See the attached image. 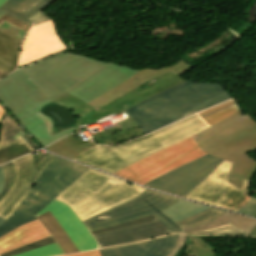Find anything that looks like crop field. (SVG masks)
Returning <instances> with one entry per match:
<instances>
[{"label": "crop field", "instance_id": "crop-field-39", "mask_svg": "<svg viewBox=\"0 0 256 256\" xmlns=\"http://www.w3.org/2000/svg\"><path fill=\"white\" fill-rule=\"evenodd\" d=\"M201 234H227V235H238L241 236V231L238 228L223 229L214 232L201 233Z\"/></svg>", "mask_w": 256, "mask_h": 256}, {"label": "crop field", "instance_id": "crop-field-56", "mask_svg": "<svg viewBox=\"0 0 256 256\" xmlns=\"http://www.w3.org/2000/svg\"><path fill=\"white\" fill-rule=\"evenodd\" d=\"M4 221H5V220H3V219L0 218V224H1L2 222H4Z\"/></svg>", "mask_w": 256, "mask_h": 256}, {"label": "crop field", "instance_id": "crop-field-46", "mask_svg": "<svg viewBox=\"0 0 256 256\" xmlns=\"http://www.w3.org/2000/svg\"><path fill=\"white\" fill-rule=\"evenodd\" d=\"M186 236H187V235H186ZM191 248H192V244H191L190 240H189L188 237H187L186 248L184 249V251H183L182 253L185 255L188 251L191 250Z\"/></svg>", "mask_w": 256, "mask_h": 256}, {"label": "crop field", "instance_id": "crop-field-9", "mask_svg": "<svg viewBox=\"0 0 256 256\" xmlns=\"http://www.w3.org/2000/svg\"><path fill=\"white\" fill-rule=\"evenodd\" d=\"M206 153L200 151L191 137L161 150L114 175L135 181L141 185L193 160Z\"/></svg>", "mask_w": 256, "mask_h": 256}, {"label": "crop field", "instance_id": "crop-field-25", "mask_svg": "<svg viewBox=\"0 0 256 256\" xmlns=\"http://www.w3.org/2000/svg\"><path fill=\"white\" fill-rule=\"evenodd\" d=\"M38 218L41 220V222L44 224V226L47 228V230L65 252V254L77 252L76 248L74 247L67 234L60 227V225L57 223V221L54 219L50 212L45 213Z\"/></svg>", "mask_w": 256, "mask_h": 256}, {"label": "crop field", "instance_id": "crop-field-51", "mask_svg": "<svg viewBox=\"0 0 256 256\" xmlns=\"http://www.w3.org/2000/svg\"><path fill=\"white\" fill-rule=\"evenodd\" d=\"M232 101H234V99H232V100H230V101H228V102H232ZM228 102H226V103H228ZM223 104H225V103H223ZM223 104L214 106V107H212V108H210V109H208V110H211V109H213V108H215V107H218V106H222ZM208 110H206V111H208ZM201 112H202V111H201ZM204 112H205V111H204ZM199 114H200V113H199Z\"/></svg>", "mask_w": 256, "mask_h": 256}, {"label": "crop field", "instance_id": "crop-field-27", "mask_svg": "<svg viewBox=\"0 0 256 256\" xmlns=\"http://www.w3.org/2000/svg\"><path fill=\"white\" fill-rule=\"evenodd\" d=\"M21 42L0 32V58L17 65Z\"/></svg>", "mask_w": 256, "mask_h": 256}, {"label": "crop field", "instance_id": "crop-field-17", "mask_svg": "<svg viewBox=\"0 0 256 256\" xmlns=\"http://www.w3.org/2000/svg\"><path fill=\"white\" fill-rule=\"evenodd\" d=\"M55 0H8L0 9L8 11L0 18L24 31H28L31 21L28 19L43 10Z\"/></svg>", "mask_w": 256, "mask_h": 256}, {"label": "crop field", "instance_id": "crop-field-19", "mask_svg": "<svg viewBox=\"0 0 256 256\" xmlns=\"http://www.w3.org/2000/svg\"><path fill=\"white\" fill-rule=\"evenodd\" d=\"M16 229V228H15ZM50 236L39 219L29 222L0 238V254Z\"/></svg>", "mask_w": 256, "mask_h": 256}, {"label": "crop field", "instance_id": "crop-field-31", "mask_svg": "<svg viewBox=\"0 0 256 256\" xmlns=\"http://www.w3.org/2000/svg\"><path fill=\"white\" fill-rule=\"evenodd\" d=\"M193 244L190 252L194 256H215L213 249L207 245L199 236H188Z\"/></svg>", "mask_w": 256, "mask_h": 256}, {"label": "crop field", "instance_id": "crop-field-54", "mask_svg": "<svg viewBox=\"0 0 256 256\" xmlns=\"http://www.w3.org/2000/svg\"><path fill=\"white\" fill-rule=\"evenodd\" d=\"M4 13H6V12H5V11L0 10V17H1Z\"/></svg>", "mask_w": 256, "mask_h": 256}, {"label": "crop field", "instance_id": "crop-field-36", "mask_svg": "<svg viewBox=\"0 0 256 256\" xmlns=\"http://www.w3.org/2000/svg\"><path fill=\"white\" fill-rule=\"evenodd\" d=\"M0 31L22 41L24 36L26 35V32L8 24L3 22L2 24H0Z\"/></svg>", "mask_w": 256, "mask_h": 256}, {"label": "crop field", "instance_id": "crop-field-32", "mask_svg": "<svg viewBox=\"0 0 256 256\" xmlns=\"http://www.w3.org/2000/svg\"><path fill=\"white\" fill-rule=\"evenodd\" d=\"M63 251L57 245V243L48 245L42 248H38L29 252H25L15 256H58L63 255Z\"/></svg>", "mask_w": 256, "mask_h": 256}, {"label": "crop field", "instance_id": "crop-field-42", "mask_svg": "<svg viewBox=\"0 0 256 256\" xmlns=\"http://www.w3.org/2000/svg\"><path fill=\"white\" fill-rule=\"evenodd\" d=\"M186 236L185 235H179V240L178 243L175 247V249L172 251V253L169 256H174L175 253L181 249V247L183 246L184 242H185Z\"/></svg>", "mask_w": 256, "mask_h": 256}, {"label": "crop field", "instance_id": "crop-field-23", "mask_svg": "<svg viewBox=\"0 0 256 256\" xmlns=\"http://www.w3.org/2000/svg\"><path fill=\"white\" fill-rule=\"evenodd\" d=\"M228 222L232 223L236 227H239L242 231V236H247L256 225V220L226 212L222 217L216 220L207 222L203 225L184 228L181 230L183 232L201 230V229L210 228V227L221 225Z\"/></svg>", "mask_w": 256, "mask_h": 256}, {"label": "crop field", "instance_id": "crop-field-30", "mask_svg": "<svg viewBox=\"0 0 256 256\" xmlns=\"http://www.w3.org/2000/svg\"><path fill=\"white\" fill-rule=\"evenodd\" d=\"M203 205L187 201V200H179L172 206L166 208L165 210L161 211L163 212L166 216H168L170 219L177 217L179 215H182L190 210H193L195 208L201 207Z\"/></svg>", "mask_w": 256, "mask_h": 256}, {"label": "crop field", "instance_id": "crop-field-15", "mask_svg": "<svg viewBox=\"0 0 256 256\" xmlns=\"http://www.w3.org/2000/svg\"><path fill=\"white\" fill-rule=\"evenodd\" d=\"M47 211L52 213L61 227L65 230L78 252L98 248L91 234L69 206L54 200L35 215L38 217Z\"/></svg>", "mask_w": 256, "mask_h": 256}, {"label": "crop field", "instance_id": "crop-field-3", "mask_svg": "<svg viewBox=\"0 0 256 256\" xmlns=\"http://www.w3.org/2000/svg\"><path fill=\"white\" fill-rule=\"evenodd\" d=\"M242 111L191 136L200 150L233 163L227 182L240 188L256 174V160L245 152L256 150V121Z\"/></svg>", "mask_w": 256, "mask_h": 256}, {"label": "crop field", "instance_id": "crop-field-40", "mask_svg": "<svg viewBox=\"0 0 256 256\" xmlns=\"http://www.w3.org/2000/svg\"><path fill=\"white\" fill-rule=\"evenodd\" d=\"M39 13V12H38ZM31 21L34 22L33 26L39 25L41 23L47 22L52 20L51 18L47 17L46 15H44L43 13H39L36 16L32 17L31 19H29ZM32 26V27H33Z\"/></svg>", "mask_w": 256, "mask_h": 256}, {"label": "crop field", "instance_id": "crop-field-53", "mask_svg": "<svg viewBox=\"0 0 256 256\" xmlns=\"http://www.w3.org/2000/svg\"><path fill=\"white\" fill-rule=\"evenodd\" d=\"M5 75H7V74L4 73V72H2V71H0V78L3 77V76H5Z\"/></svg>", "mask_w": 256, "mask_h": 256}, {"label": "crop field", "instance_id": "crop-field-52", "mask_svg": "<svg viewBox=\"0 0 256 256\" xmlns=\"http://www.w3.org/2000/svg\"><path fill=\"white\" fill-rule=\"evenodd\" d=\"M249 235H256V227L253 229V231Z\"/></svg>", "mask_w": 256, "mask_h": 256}, {"label": "crop field", "instance_id": "crop-field-43", "mask_svg": "<svg viewBox=\"0 0 256 256\" xmlns=\"http://www.w3.org/2000/svg\"><path fill=\"white\" fill-rule=\"evenodd\" d=\"M208 207H209V206H203V207L198 208V209H196V210L190 211V212H188V213H186V214H184V215H182V216H179V217H177V218L172 219V221L175 222V221H177V220L183 219V218L188 217V216H190V215H192V214H195V213H197V212H200V211H202V210H204V209H206V208H208Z\"/></svg>", "mask_w": 256, "mask_h": 256}, {"label": "crop field", "instance_id": "crop-field-44", "mask_svg": "<svg viewBox=\"0 0 256 256\" xmlns=\"http://www.w3.org/2000/svg\"><path fill=\"white\" fill-rule=\"evenodd\" d=\"M228 227H234V226L232 224L228 223V224H224V225H221V226L213 227V228H210V229H206V230H202V231H196V232H188V233L208 232V231H214V230H219V229L228 228Z\"/></svg>", "mask_w": 256, "mask_h": 256}, {"label": "crop field", "instance_id": "crop-field-33", "mask_svg": "<svg viewBox=\"0 0 256 256\" xmlns=\"http://www.w3.org/2000/svg\"><path fill=\"white\" fill-rule=\"evenodd\" d=\"M3 174L5 177V184L2 193L0 194V200L7 193V191L12 187L15 183L17 174L12 162L5 164L2 166Z\"/></svg>", "mask_w": 256, "mask_h": 256}, {"label": "crop field", "instance_id": "crop-field-49", "mask_svg": "<svg viewBox=\"0 0 256 256\" xmlns=\"http://www.w3.org/2000/svg\"><path fill=\"white\" fill-rule=\"evenodd\" d=\"M5 110H4V108L0 105V120L2 119V117L4 116V114H5Z\"/></svg>", "mask_w": 256, "mask_h": 256}, {"label": "crop field", "instance_id": "crop-field-18", "mask_svg": "<svg viewBox=\"0 0 256 256\" xmlns=\"http://www.w3.org/2000/svg\"><path fill=\"white\" fill-rule=\"evenodd\" d=\"M19 122L42 147L58 140L59 138L69 133L76 132L73 127L56 131L50 118L42 115L40 111L19 120Z\"/></svg>", "mask_w": 256, "mask_h": 256}, {"label": "crop field", "instance_id": "crop-field-48", "mask_svg": "<svg viewBox=\"0 0 256 256\" xmlns=\"http://www.w3.org/2000/svg\"><path fill=\"white\" fill-rule=\"evenodd\" d=\"M234 103H236V101H235V102H232V103H229V104H225L224 106H222V107H218V108H215V109H213V110H211V111H214V110H217V109L223 108V107H225V106H228V105H231V104H234ZM211 111H208V112L202 113V114H200V116H201V115H203V114L209 113V112H211Z\"/></svg>", "mask_w": 256, "mask_h": 256}, {"label": "crop field", "instance_id": "crop-field-1", "mask_svg": "<svg viewBox=\"0 0 256 256\" xmlns=\"http://www.w3.org/2000/svg\"><path fill=\"white\" fill-rule=\"evenodd\" d=\"M179 198L156 191L144 190L135 198L102 214L84 221L90 232L113 226L129 220L153 214L158 219L95 234L99 248L133 243L182 232L160 211L172 205Z\"/></svg>", "mask_w": 256, "mask_h": 256}, {"label": "crop field", "instance_id": "crop-field-41", "mask_svg": "<svg viewBox=\"0 0 256 256\" xmlns=\"http://www.w3.org/2000/svg\"><path fill=\"white\" fill-rule=\"evenodd\" d=\"M0 70L6 72L7 74L15 70V66L0 59Z\"/></svg>", "mask_w": 256, "mask_h": 256}, {"label": "crop field", "instance_id": "crop-field-4", "mask_svg": "<svg viewBox=\"0 0 256 256\" xmlns=\"http://www.w3.org/2000/svg\"><path fill=\"white\" fill-rule=\"evenodd\" d=\"M182 61L176 66L162 69H143L113 89L97 97L86 105L72 111L78 126L93 123L113 113L121 114L138 102L182 81L179 76L191 69Z\"/></svg>", "mask_w": 256, "mask_h": 256}, {"label": "crop field", "instance_id": "crop-field-5", "mask_svg": "<svg viewBox=\"0 0 256 256\" xmlns=\"http://www.w3.org/2000/svg\"><path fill=\"white\" fill-rule=\"evenodd\" d=\"M207 127L209 126L205 121L198 114H195L136 140L115 146H96L72 160L113 174Z\"/></svg>", "mask_w": 256, "mask_h": 256}, {"label": "crop field", "instance_id": "crop-field-50", "mask_svg": "<svg viewBox=\"0 0 256 256\" xmlns=\"http://www.w3.org/2000/svg\"><path fill=\"white\" fill-rule=\"evenodd\" d=\"M235 105H237V103L234 104V105L228 106V107H226V108H229V107H232V106H235ZM226 108H223V109H226ZM223 109H220V110H223ZM220 110L214 111V112H212V113L218 112V111H220ZM212 113H209V114H212ZM209 114H206V115H209ZM206 115H204V116H206ZM201 117H203V116H201Z\"/></svg>", "mask_w": 256, "mask_h": 256}, {"label": "crop field", "instance_id": "crop-field-22", "mask_svg": "<svg viewBox=\"0 0 256 256\" xmlns=\"http://www.w3.org/2000/svg\"><path fill=\"white\" fill-rule=\"evenodd\" d=\"M18 178L13 187L9 190V192L4 196V198L0 201V212L9 204V202L16 196V194L21 190L24 184L27 182L30 173L33 169V160L32 154L23 156L12 161Z\"/></svg>", "mask_w": 256, "mask_h": 256}, {"label": "crop field", "instance_id": "crop-field-38", "mask_svg": "<svg viewBox=\"0 0 256 256\" xmlns=\"http://www.w3.org/2000/svg\"><path fill=\"white\" fill-rule=\"evenodd\" d=\"M154 218H156V217H154L153 215L146 216V217H143V218H140V219L129 221V222L119 224V225H116V226H113V227H109V228H106V229H102V230H99V231H96V232H92V234L102 232V231H106V230H110V229H114V228H118V227H122V226H126V225H130V224H134V223H138V222H142V221H146V220H150V219H154Z\"/></svg>", "mask_w": 256, "mask_h": 256}, {"label": "crop field", "instance_id": "crop-field-55", "mask_svg": "<svg viewBox=\"0 0 256 256\" xmlns=\"http://www.w3.org/2000/svg\"><path fill=\"white\" fill-rule=\"evenodd\" d=\"M7 0H0V6L4 3V2H6Z\"/></svg>", "mask_w": 256, "mask_h": 256}, {"label": "crop field", "instance_id": "crop-field-6", "mask_svg": "<svg viewBox=\"0 0 256 256\" xmlns=\"http://www.w3.org/2000/svg\"><path fill=\"white\" fill-rule=\"evenodd\" d=\"M144 189L89 169L56 200L68 204L84 221L135 197Z\"/></svg>", "mask_w": 256, "mask_h": 256}, {"label": "crop field", "instance_id": "crop-field-10", "mask_svg": "<svg viewBox=\"0 0 256 256\" xmlns=\"http://www.w3.org/2000/svg\"><path fill=\"white\" fill-rule=\"evenodd\" d=\"M0 101L17 120L50 103L21 69L0 79Z\"/></svg>", "mask_w": 256, "mask_h": 256}, {"label": "crop field", "instance_id": "crop-field-45", "mask_svg": "<svg viewBox=\"0 0 256 256\" xmlns=\"http://www.w3.org/2000/svg\"><path fill=\"white\" fill-rule=\"evenodd\" d=\"M64 256H100L97 250L94 251H88V252H82L77 254H70V255H64Z\"/></svg>", "mask_w": 256, "mask_h": 256}, {"label": "crop field", "instance_id": "crop-field-14", "mask_svg": "<svg viewBox=\"0 0 256 256\" xmlns=\"http://www.w3.org/2000/svg\"><path fill=\"white\" fill-rule=\"evenodd\" d=\"M65 49L53 21L33 27L24 41L17 68Z\"/></svg>", "mask_w": 256, "mask_h": 256}, {"label": "crop field", "instance_id": "crop-field-28", "mask_svg": "<svg viewBox=\"0 0 256 256\" xmlns=\"http://www.w3.org/2000/svg\"><path fill=\"white\" fill-rule=\"evenodd\" d=\"M224 213H225V211L217 210V209L210 207V208H208L200 213H197L193 216H190L183 220L177 221V222H175V224L180 228L199 225V224H203L207 221L216 219V218L222 216Z\"/></svg>", "mask_w": 256, "mask_h": 256}, {"label": "crop field", "instance_id": "crop-field-13", "mask_svg": "<svg viewBox=\"0 0 256 256\" xmlns=\"http://www.w3.org/2000/svg\"><path fill=\"white\" fill-rule=\"evenodd\" d=\"M223 162L224 160L207 154L145 186L184 197Z\"/></svg>", "mask_w": 256, "mask_h": 256}, {"label": "crop field", "instance_id": "crop-field-24", "mask_svg": "<svg viewBox=\"0 0 256 256\" xmlns=\"http://www.w3.org/2000/svg\"><path fill=\"white\" fill-rule=\"evenodd\" d=\"M2 125V122H1ZM33 152L23 137L4 144L3 126L0 136V165L20 156Z\"/></svg>", "mask_w": 256, "mask_h": 256}, {"label": "crop field", "instance_id": "crop-field-29", "mask_svg": "<svg viewBox=\"0 0 256 256\" xmlns=\"http://www.w3.org/2000/svg\"><path fill=\"white\" fill-rule=\"evenodd\" d=\"M2 122L4 126L5 143L23 136L34 151L39 150L34 142L24 133V131L17 125V123L10 117L8 113H6L2 119Z\"/></svg>", "mask_w": 256, "mask_h": 256}, {"label": "crop field", "instance_id": "crop-field-20", "mask_svg": "<svg viewBox=\"0 0 256 256\" xmlns=\"http://www.w3.org/2000/svg\"><path fill=\"white\" fill-rule=\"evenodd\" d=\"M144 134L145 133L135 124L132 118H130L116 124L108 130L96 133V135L92 136L91 140L101 145H113Z\"/></svg>", "mask_w": 256, "mask_h": 256}, {"label": "crop field", "instance_id": "crop-field-8", "mask_svg": "<svg viewBox=\"0 0 256 256\" xmlns=\"http://www.w3.org/2000/svg\"><path fill=\"white\" fill-rule=\"evenodd\" d=\"M108 64L66 52L22 70L52 102Z\"/></svg>", "mask_w": 256, "mask_h": 256}, {"label": "crop field", "instance_id": "crop-field-35", "mask_svg": "<svg viewBox=\"0 0 256 256\" xmlns=\"http://www.w3.org/2000/svg\"><path fill=\"white\" fill-rule=\"evenodd\" d=\"M52 243H55V240L52 238V236H50L48 238H45L43 240L37 241L35 243H32V244L24 246L22 248L13 250L11 252L5 253V254L0 255V256H12V255H15V254H19V253H22V252H25V251H28V250H32V249H35V248H38V247H42V246H45V245H48V244H52Z\"/></svg>", "mask_w": 256, "mask_h": 256}, {"label": "crop field", "instance_id": "crop-field-21", "mask_svg": "<svg viewBox=\"0 0 256 256\" xmlns=\"http://www.w3.org/2000/svg\"><path fill=\"white\" fill-rule=\"evenodd\" d=\"M78 133L66 136L45 149L72 159L79 153L95 146L89 140L83 141Z\"/></svg>", "mask_w": 256, "mask_h": 256}, {"label": "crop field", "instance_id": "crop-field-16", "mask_svg": "<svg viewBox=\"0 0 256 256\" xmlns=\"http://www.w3.org/2000/svg\"><path fill=\"white\" fill-rule=\"evenodd\" d=\"M178 235L99 250L101 256H168L177 243Z\"/></svg>", "mask_w": 256, "mask_h": 256}, {"label": "crop field", "instance_id": "crop-field-2", "mask_svg": "<svg viewBox=\"0 0 256 256\" xmlns=\"http://www.w3.org/2000/svg\"><path fill=\"white\" fill-rule=\"evenodd\" d=\"M230 98L218 83L184 81L125 111L148 134Z\"/></svg>", "mask_w": 256, "mask_h": 256}, {"label": "crop field", "instance_id": "crop-field-26", "mask_svg": "<svg viewBox=\"0 0 256 256\" xmlns=\"http://www.w3.org/2000/svg\"><path fill=\"white\" fill-rule=\"evenodd\" d=\"M52 155H47L44 159H42L38 165L33 169L32 174L22 188V190L18 193V195L11 201V203L0 213V216L5 218L9 214V212L21 201V199L29 192L33 184L36 182L41 170L45 167V165L53 158Z\"/></svg>", "mask_w": 256, "mask_h": 256}, {"label": "crop field", "instance_id": "crop-field-11", "mask_svg": "<svg viewBox=\"0 0 256 256\" xmlns=\"http://www.w3.org/2000/svg\"><path fill=\"white\" fill-rule=\"evenodd\" d=\"M231 163L225 161L185 197L237 212L249 193L250 183L239 189L226 182Z\"/></svg>", "mask_w": 256, "mask_h": 256}, {"label": "crop field", "instance_id": "crop-field-34", "mask_svg": "<svg viewBox=\"0 0 256 256\" xmlns=\"http://www.w3.org/2000/svg\"><path fill=\"white\" fill-rule=\"evenodd\" d=\"M240 110H241V108L237 105L235 107H232V108L220 111L218 113L203 117V119L210 126V125H212V124H214V123H216V122H218V121H220V120H222Z\"/></svg>", "mask_w": 256, "mask_h": 256}, {"label": "crop field", "instance_id": "crop-field-7", "mask_svg": "<svg viewBox=\"0 0 256 256\" xmlns=\"http://www.w3.org/2000/svg\"><path fill=\"white\" fill-rule=\"evenodd\" d=\"M88 168L54 157L43 169L37 182L24 199L0 225V237L15 228L37 219L35 213L54 200Z\"/></svg>", "mask_w": 256, "mask_h": 256}, {"label": "crop field", "instance_id": "crop-field-47", "mask_svg": "<svg viewBox=\"0 0 256 256\" xmlns=\"http://www.w3.org/2000/svg\"><path fill=\"white\" fill-rule=\"evenodd\" d=\"M3 184H4V178H3V174L0 166V192L2 190Z\"/></svg>", "mask_w": 256, "mask_h": 256}, {"label": "crop field", "instance_id": "crop-field-12", "mask_svg": "<svg viewBox=\"0 0 256 256\" xmlns=\"http://www.w3.org/2000/svg\"><path fill=\"white\" fill-rule=\"evenodd\" d=\"M139 70L141 69L111 63L53 103L63 105L71 111L113 88Z\"/></svg>", "mask_w": 256, "mask_h": 256}, {"label": "crop field", "instance_id": "crop-field-37", "mask_svg": "<svg viewBox=\"0 0 256 256\" xmlns=\"http://www.w3.org/2000/svg\"><path fill=\"white\" fill-rule=\"evenodd\" d=\"M238 212L256 217V198L248 196Z\"/></svg>", "mask_w": 256, "mask_h": 256}]
</instances>
